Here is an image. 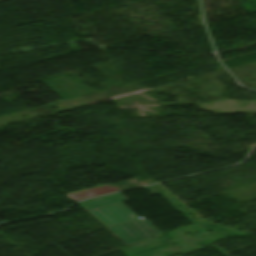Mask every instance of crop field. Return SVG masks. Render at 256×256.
<instances>
[{
	"instance_id": "obj_1",
	"label": "crop field",
	"mask_w": 256,
	"mask_h": 256,
	"mask_svg": "<svg viewBox=\"0 0 256 256\" xmlns=\"http://www.w3.org/2000/svg\"><path fill=\"white\" fill-rule=\"evenodd\" d=\"M122 195L104 198L81 205L85 210L92 211L105 222L114 235L125 245L160 235L148 220H137L122 201Z\"/></svg>"
}]
</instances>
